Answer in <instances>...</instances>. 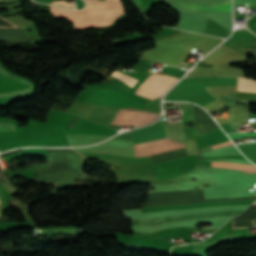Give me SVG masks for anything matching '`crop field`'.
I'll list each match as a JSON object with an SVG mask.
<instances>
[{
  "instance_id": "8a807250",
  "label": "crop field",
  "mask_w": 256,
  "mask_h": 256,
  "mask_svg": "<svg viewBox=\"0 0 256 256\" xmlns=\"http://www.w3.org/2000/svg\"><path fill=\"white\" fill-rule=\"evenodd\" d=\"M86 8L75 11L66 8L50 6L54 16L67 18L76 30L108 25L123 14L120 0H85Z\"/></svg>"
},
{
  "instance_id": "ac0d7876",
  "label": "crop field",
  "mask_w": 256,
  "mask_h": 256,
  "mask_svg": "<svg viewBox=\"0 0 256 256\" xmlns=\"http://www.w3.org/2000/svg\"><path fill=\"white\" fill-rule=\"evenodd\" d=\"M132 133L134 144L168 136L165 122L136 129L133 130ZM183 148L185 147L182 143L172 142L169 137H167L148 143L134 145V152L135 156H150Z\"/></svg>"
},
{
  "instance_id": "34b2d1b8",
  "label": "crop field",
  "mask_w": 256,
  "mask_h": 256,
  "mask_svg": "<svg viewBox=\"0 0 256 256\" xmlns=\"http://www.w3.org/2000/svg\"><path fill=\"white\" fill-rule=\"evenodd\" d=\"M177 78L161 75H150L143 84L138 88L136 94L154 99L162 94L177 81Z\"/></svg>"
},
{
  "instance_id": "412701ff",
  "label": "crop field",
  "mask_w": 256,
  "mask_h": 256,
  "mask_svg": "<svg viewBox=\"0 0 256 256\" xmlns=\"http://www.w3.org/2000/svg\"><path fill=\"white\" fill-rule=\"evenodd\" d=\"M159 114L150 112H136L121 109L112 124L128 125V126H141L143 124L153 121Z\"/></svg>"
},
{
  "instance_id": "f4fd0767",
  "label": "crop field",
  "mask_w": 256,
  "mask_h": 256,
  "mask_svg": "<svg viewBox=\"0 0 256 256\" xmlns=\"http://www.w3.org/2000/svg\"><path fill=\"white\" fill-rule=\"evenodd\" d=\"M242 211L243 210L225 211V212H208V213H199V214L179 215V216L165 217V218H159V219H140V220H131V221H132V224L155 225V224H160L168 221L208 218V217H217V216H226V215H238Z\"/></svg>"
},
{
  "instance_id": "dd49c442",
  "label": "crop field",
  "mask_w": 256,
  "mask_h": 256,
  "mask_svg": "<svg viewBox=\"0 0 256 256\" xmlns=\"http://www.w3.org/2000/svg\"><path fill=\"white\" fill-rule=\"evenodd\" d=\"M254 201L255 200L235 201V202H220V203H206V204H191V205H177V206H162V207H148V208H141V211L142 212H147V211H160V210H166V209H188V208L223 206V205H240V204H251Z\"/></svg>"
},
{
  "instance_id": "e52e79f7",
  "label": "crop field",
  "mask_w": 256,
  "mask_h": 256,
  "mask_svg": "<svg viewBox=\"0 0 256 256\" xmlns=\"http://www.w3.org/2000/svg\"><path fill=\"white\" fill-rule=\"evenodd\" d=\"M182 6L195 8L199 10H217V11H231L230 7V0L216 3V4H208V5H193V4H187L184 2L178 3Z\"/></svg>"
},
{
  "instance_id": "d8731c3e",
  "label": "crop field",
  "mask_w": 256,
  "mask_h": 256,
  "mask_svg": "<svg viewBox=\"0 0 256 256\" xmlns=\"http://www.w3.org/2000/svg\"><path fill=\"white\" fill-rule=\"evenodd\" d=\"M237 91L256 92V81L237 78Z\"/></svg>"
},
{
  "instance_id": "5a996713",
  "label": "crop field",
  "mask_w": 256,
  "mask_h": 256,
  "mask_svg": "<svg viewBox=\"0 0 256 256\" xmlns=\"http://www.w3.org/2000/svg\"><path fill=\"white\" fill-rule=\"evenodd\" d=\"M112 76H115L117 78H120L122 79L123 81H125L128 85H130L131 87L137 82V80L125 75V74H122L120 72H117L115 71Z\"/></svg>"
},
{
  "instance_id": "3316defc",
  "label": "crop field",
  "mask_w": 256,
  "mask_h": 256,
  "mask_svg": "<svg viewBox=\"0 0 256 256\" xmlns=\"http://www.w3.org/2000/svg\"><path fill=\"white\" fill-rule=\"evenodd\" d=\"M231 139L244 138V137H256V132L242 133V134H228Z\"/></svg>"
},
{
  "instance_id": "28ad6ade",
  "label": "crop field",
  "mask_w": 256,
  "mask_h": 256,
  "mask_svg": "<svg viewBox=\"0 0 256 256\" xmlns=\"http://www.w3.org/2000/svg\"><path fill=\"white\" fill-rule=\"evenodd\" d=\"M14 124L0 123V130H13Z\"/></svg>"
},
{
  "instance_id": "d1516ede",
  "label": "crop field",
  "mask_w": 256,
  "mask_h": 256,
  "mask_svg": "<svg viewBox=\"0 0 256 256\" xmlns=\"http://www.w3.org/2000/svg\"><path fill=\"white\" fill-rule=\"evenodd\" d=\"M247 158L256 163V153H243Z\"/></svg>"
},
{
  "instance_id": "22f410ed",
  "label": "crop field",
  "mask_w": 256,
  "mask_h": 256,
  "mask_svg": "<svg viewBox=\"0 0 256 256\" xmlns=\"http://www.w3.org/2000/svg\"><path fill=\"white\" fill-rule=\"evenodd\" d=\"M54 3L63 4V5H68V6L74 7V5L69 4V3H67V2H63V1H55ZM54 3H52V4H54ZM58 4H57V5H58ZM63 5H62V6H63ZM68 6H66V7H68ZM72 7H71V8H72Z\"/></svg>"
},
{
  "instance_id": "cbeb9de0",
  "label": "crop field",
  "mask_w": 256,
  "mask_h": 256,
  "mask_svg": "<svg viewBox=\"0 0 256 256\" xmlns=\"http://www.w3.org/2000/svg\"><path fill=\"white\" fill-rule=\"evenodd\" d=\"M80 154V153H79ZM48 160H50V159H48ZM52 161V160H51ZM83 161H84V156H83ZM53 162V161H52ZM51 162V163H52ZM48 169H49V163H48ZM81 172V171H80ZM82 173V172H81ZM85 175V174H84ZM78 180V179H77ZM75 181V180H74ZM37 182H39V181H37Z\"/></svg>"
},
{
  "instance_id": "5142ce71",
  "label": "crop field",
  "mask_w": 256,
  "mask_h": 256,
  "mask_svg": "<svg viewBox=\"0 0 256 256\" xmlns=\"http://www.w3.org/2000/svg\"><path fill=\"white\" fill-rule=\"evenodd\" d=\"M182 64H184V65H186V66H188V67H189V65H187V64H185V63H183V62H182Z\"/></svg>"
},
{
  "instance_id": "d9b57169",
  "label": "crop field",
  "mask_w": 256,
  "mask_h": 256,
  "mask_svg": "<svg viewBox=\"0 0 256 256\" xmlns=\"http://www.w3.org/2000/svg\"><path fill=\"white\" fill-rule=\"evenodd\" d=\"M236 128H238V127H236ZM238 130V129H237Z\"/></svg>"
},
{
  "instance_id": "733c2abd",
  "label": "crop field",
  "mask_w": 256,
  "mask_h": 256,
  "mask_svg": "<svg viewBox=\"0 0 256 256\" xmlns=\"http://www.w3.org/2000/svg\"><path fill=\"white\" fill-rule=\"evenodd\" d=\"M1 203V202H0Z\"/></svg>"
}]
</instances>
